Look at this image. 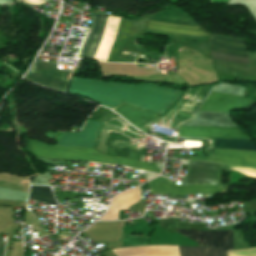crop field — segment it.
Listing matches in <instances>:
<instances>
[{
    "label": "crop field",
    "mask_w": 256,
    "mask_h": 256,
    "mask_svg": "<svg viewBox=\"0 0 256 256\" xmlns=\"http://www.w3.org/2000/svg\"><path fill=\"white\" fill-rule=\"evenodd\" d=\"M69 92L110 109L126 102L162 114L182 91L152 84L128 85L72 78Z\"/></svg>",
    "instance_id": "8a807250"
},
{
    "label": "crop field",
    "mask_w": 256,
    "mask_h": 256,
    "mask_svg": "<svg viewBox=\"0 0 256 256\" xmlns=\"http://www.w3.org/2000/svg\"><path fill=\"white\" fill-rule=\"evenodd\" d=\"M97 16H98V14H93L91 26H90V29L88 32V36H87V38L77 56L79 58L83 57V55L86 51V48L91 40V37L95 31ZM107 16L108 15L99 14L96 31L92 37V40H91L83 58H88V59L93 58L94 53L99 44V41L104 32ZM120 18L121 17L109 15L105 32L103 34V37L100 41V44L98 46V49H97L93 59L101 60V61L106 60L107 55L112 46V43L117 34ZM149 29H157V30H162L164 32L177 33V34H189V35H193V36H202V35L209 34L207 31H205L204 29H202L199 26L150 25Z\"/></svg>",
    "instance_id": "ac0d7876"
},
{
    "label": "crop field",
    "mask_w": 256,
    "mask_h": 256,
    "mask_svg": "<svg viewBox=\"0 0 256 256\" xmlns=\"http://www.w3.org/2000/svg\"><path fill=\"white\" fill-rule=\"evenodd\" d=\"M25 142V150L33 156L102 162L134 167L155 173L161 172L155 165L119 157L104 156L97 153L94 149L81 147H57L28 139H25Z\"/></svg>",
    "instance_id": "34b2d1b8"
},
{
    "label": "crop field",
    "mask_w": 256,
    "mask_h": 256,
    "mask_svg": "<svg viewBox=\"0 0 256 256\" xmlns=\"http://www.w3.org/2000/svg\"><path fill=\"white\" fill-rule=\"evenodd\" d=\"M56 66V63L35 61L24 79L66 93L71 71L56 69Z\"/></svg>",
    "instance_id": "412701ff"
},
{
    "label": "crop field",
    "mask_w": 256,
    "mask_h": 256,
    "mask_svg": "<svg viewBox=\"0 0 256 256\" xmlns=\"http://www.w3.org/2000/svg\"><path fill=\"white\" fill-rule=\"evenodd\" d=\"M210 48H211V52H214V53L249 57L246 40L212 35V38L210 40ZM214 53H211L212 58L216 60H224V61L249 64V58H246V57H238V56H230V55H222V54H214Z\"/></svg>",
    "instance_id": "f4fd0767"
},
{
    "label": "crop field",
    "mask_w": 256,
    "mask_h": 256,
    "mask_svg": "<svg viewBox=\"0 0 256 256\" xmlns=\"http://www.w3.org/2000/svg\"><path fill=\"white\" fill-rule=\"evenodd\" d=\"M223 170L229 169L217 163L189 161L187 174L181 184H221Z\"/></svg>",
    "instance_id": "dd49c442"
},
{
    "label": "crop field",
    "mask_w": 256,
    "mask_h": 256,
    "mask_svg": "<svg viewBox=\"0 0 256 256\" xmlns=\"http://www.w3.org/2000/svg\"><path fill=\"white\" fill-rule=\"evenodd\" d=\"M151 193L168 194H217L226 192L227 185H178L169 182L166 178L159 176L149 181Z\"/></svg>",
    "instance_id": "e52e79f7"
},
{
    "label": "crop field",
    "mask_w": 256,
    "mask_h": 256,
    "mask_svg": "<svg viewBox=\"0 0 256 256\" xmlns=\"http://www.w3.org/2000/svg\"><path fill=\"white\" fill-rule=\"evenodd\" d=\"M255 104V101L247 97H239L211 92V94L209 95V97L207 98L205 103L200 107L199 110L249 112Z\"/></svg>",
    "instance_id": "d8731c3e"
},
{
    "label": "crop field",
    "mask_w": 256,
    "mask_h": 256,
    "mask_svg": "<svg viewBox=\"0 0 256 256\" xmlns=\"http://www.w3.org/2000/svg\"><path fill=\"white\" fill-rule=\"evenodd\" d=\"M191 160L214 161L227 166L256 168V152L216 149L210 157L190 155Z\"/></svg>",
    "instance_id": "5a996713"
},
{
    "label": "crop field",
    "mask_w": 256,
    "mask_h": 256,
    "mask_svg": "<svg viewBox=\"0 0 256 256\" xmlns=\"http://www.w3.org/2000/svg\"><path fill=\"white\" fill-rule=\"evenodd\" d=\"M178 231L198 245H209L224 251L233 250L231 230L194 231L178 229Z\"/></svg>",
    "instance_id": "3316defc"
},
{
    "label": "crop field",
    "mask_w": 256,
    "mask_h": 256,
    "mask_svg": "<svg viewBox=\"0 0 256 256\" xmlns=\"http://www.w3.org/2000/svg\"><path fill=\"white\" fill-rule=\"evenodd\" d=\"M178 137L251 139L243 128L180 127Z\"/></svg>",
    "instance_id": "28ad6ade"
},
{
    "label": "crop field",
    "mask_w": 256,
    "mask_h": 256,
    "mask_svg": "<svg viewBox=\"0 0 256 256\" xmlns=\"http://www.w3.org/2000/svg\"><path fill=\"white\" fill-rule=\"evenodd\" d=\"M101 123L86 121L81 133L63 134L58 146H82L93 148Z\"/></svg>",
    "instance_id": "d1516ede"
},
{
    "label": "crop field",
    "mask_w": 256,
    "mask_h": 256,
    "mask_svg": "<svg viewBox=\"0 0 256 256\" xmlns=\"http://www.w3.org/2000/svg\"><path fill=\"white\" fill-rule=\"evenodd\" d=\"M112 251L116 256H180L178 246H137Z\"/></svg>",
    "instance_id": "22f410ed"
},
{
    "label": "crop field",
    "mask_w": 256,
    "mask_h": 256,
    "mask_svg": "<svg viewBox=\"0 0 256 256\" xmlns=\"http://www.w3.org/2000/svg\"><path fill=\"white\" fill-rule=\"evenodd\" d=\"M181 126L240 127L228 113L198 112L196 117Z\"/></svg>",
    "instance_id": "cbeb9de0"
},
{
    "label": "crop field",
    "mask_w": 256,
    "mask_h": 256,
    "mask_svg": "<svg viewBox=\"0 0 256 256\" xmlns=\"http://www.w3.org/2000/svg\"><path fill=\"white\" fill-rule=\"evenodd\" d=\"M113 111L123 116L136 128L140 127L141 125L145 124L146 122L158 116V114L144 111L142 109L136 108L126 103L113 109Z\"/></svg>",
    "instance_id": "5142ce71"
},
{
    "label": "crop field",
    "mask_w": 256,
    "mask_h": 256,
    "mask_svg": "<svg viewBox=\"0 0 256 256\" xmlns=\"http://www.w3.org/2000/svg\"><path fill=\"white\" fill-rule=\"evenodd\" d=\"M211 148H221V139H211ZM222 148L256 150L253 140H228L222 139Z\"/></svg>",
    "instance_id": "d9b57169"
},
{
    "label": "crop field",
    "mask_w": 256,
    "mask_h": 256,
    "mask_svg": "<svg viewBox=\"0 0 256 256\" xmlns=\"http://www.w3.org/2000/svg\"><path fill=\"white\" fill-rule=\"evenodd\" d=\"M180 253L181 256H226L224 251L211 248L208 246L202 247H181Z\"/></svg>",
    "instance_id": "733c2abd"
},
{
    "label": "crop field",
    "mask_w": 256,
    "mask_h": 256,
    "mask_svg": "<svg viewBox=\"0 0 256 256\" xmlns=\"http://www.w3.org/2000/svg\"><path fill=\"white\" fill-rule=\"evenodd\" d=\"M29 198L45 202L47 204L56 205V201L53 197L50 187L45 186H32Z\"/></svg>",
    "instance_id": "4a817a6b"
},
{
    "label": "crop field",
    "mask_w": 256,
    "mask_h": 256,
    "mask_svg": "<svg viewBox=\"0 0 256 256\" xmlns=\"http://www.w3.org/2000/svg\"><path fill=\"white\" fill-rule=\"evenodd\" d=\"M245 89L246 88H244V87H240V86H236V85H232V84L219 83L212 91L242 96L244 91H245ZM210 92H209V94H210Z\"/></svg>",
    "instance_id": "bc2a9ffb"
},
{
    "label": "crop field",
    "mask_w": 256,
    "mask_h": 256,
    "mask_svg": "<svg viewBox=\"0 0 256 256\" xmlns=\"http://www.w3.org/2000/svg\"><path fill=\"white\" fill-rule=\"evenodd\" d=\"M227 256H256V249L226 252Z\"/></svg>",
    "instance_id": "214f88e0"
},
{
    "label": "crop field",
    "mask_w": 256,
    "mask_h": 256,
    "mask_svg": "<svg viewBox=\"0 0 256 256\" xmlns=\"http://www.w3.org/2000/svg\"><path fill=\"white\" fill-rule=\"evenodd\" d=\"M4 248H5V241H2L0 239V256H3L4 254Z\"/></svg>",
    "instance_id": "92a150f3"
}]
</instances>
